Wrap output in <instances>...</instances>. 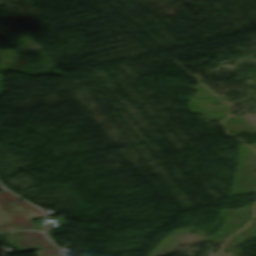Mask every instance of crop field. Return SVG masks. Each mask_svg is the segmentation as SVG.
I'll use <instances>...</instances> for the list:
<instances>
[{"instance_id": "obj_2", "label": "crop field", "mask_w": 256, "mask_h": 256, "mask_svg": "<svg viewBox=\"0 0 256 256\" xmlns=\"http://www.w3.org/2000/svg\"><path fill=\"white\" fill-rule=\"evenodd\" d=\"M7 243H18L21 251L40 249L53 246L41 232L29 231L27 233L10 232L6 237Z\"/></svg>"}, {"instance_id": "obj_1", "label": "crop field", "mask_w": 256, "mask_h": 256, "mask_svg": "<svg viewBox=\"0 0 256 256\" xmlns=\"http://www.w3.org/2000/svg\"><path fill=\"white\" fill-rule=\"evenodd\" d=\"M38 217H43L40 210L6 190L0 191V231L31 229V219Z\"/></svg>"}, {"instance_id": "obj_3", "label": "crop field", "mask_w": 256, "mask_h": 256, "mask_svg": "<svg viewBox=\"0 0 256 256\" xmlns=\"http://www.w3.org/2000/svg\"><path fill=\"white\" fill-rule=\"evenodd\" d=\"M36 256H62L60 251L55 249L34 251Z\"/></svg>"}]
</instances>
